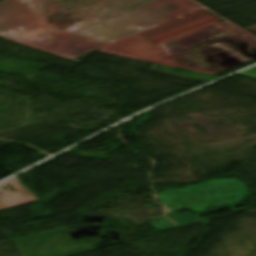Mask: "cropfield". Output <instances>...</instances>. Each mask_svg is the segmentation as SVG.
Instances as JSON below:
<instances>
[{
	"label": "crop field",
	"instance_id": "obj_1",
	"mask_svg": "<svg viewBox=\"0 0 256 256\" xmlns=\"http://www.w3.org/2000/svg\"><path fill=\"white\" fill-rule=\"evenodd\" d=\"M58 0H5L0 2V22L17 17Z\"/></svg>",
	"mask_w": 256,
	"mask_h": 256
},
{
	"label": "crop field",
	"instance_id": "obj_2",
	"mask_svg": "<svg viewBox=\"0 0 256 256\" xmlns=\"http://www.w3.org/2000/svg\"><path fill=\"white\" fill-rule=\"evenodd\" d=\"M237 75H241V76H245V77H249V78H253L256 79V66L253 68H250L244 72H241Z\"/></svg>",
	"mask_w": 256,
	"mask_h": 256
}]
</instances>
